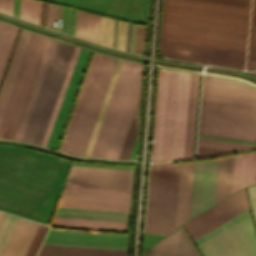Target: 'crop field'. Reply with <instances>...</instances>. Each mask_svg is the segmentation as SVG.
Listing matches in <instances>:
<instances>
[{
    "label": "crop field",
    "instance_id": "obj_41",
    "mask_svg": "<svg viewBox=\"0 0 256 256\" xmlns=\"http://www.w3.org/2000/svg\"><path fill=\"white\" fill-rule=\"evenodd\" d=\"M114 24H115L114 19H110V18L101 16L99 39H98L99 44H103V45L112 47Z\"/></svg>",
    "mask_w": 256,
    "mask_h": 256
},
{
    "label": "crop field",
    "instance_id": "obj_55",
    "mask_svg": "<svg viewBox=\"0 0 256 256\" xmlns=\"http://www.w3.org/2000/svg\"><path fill=\"white\" fill-rule=\"evenodd\" d=\"M251 73H254V74H256V71H252Z\"/></svg>",
    "mask_w": 256,
    "mask_h": 256
},
{
    "label": "crop field",
    "instance_id": "obj_35",
    "mask_svg": "<svg viewBox=\"0 0 256 256\" xmlns=\"http://www.w3.org/2000/svg\"><path fill=\"white\" fill-rule=\"evenodd\" d=\"M122 62H123L122 60H118V61H117L116 67H115V69H114V72H113L111 81H110V83H109V86H108L106 95H105V97H104V100H103L101 109H100V111H99V114H98L96 123H95V125H94L93 131H92V134H91V137H90V139H89V142H88V145H87V148H86V151H85L83 157H89V156H90L91 150H92V148H93V145H94V142H95V139H96L98 130H99V128H100V125H101V122H102V119H103L105 110H106V108H107V105H108V102H109V99H110L112 90H113V88H114V85H115V82H116V79H117L119 70H120V68H121Z\"/></svg>",
    "mask_w": 256,
    "mask_h": 256
},
{
    "label": "crop field",
    "instance_id": "obj_24",
    "mask_svg": "<svg viewBox=\"0 0 256 256\" xmlns=\"http://www.w3.org/2000/svg\"><path fill=\"white\" fill-rule=\"evenodd\" d=\"M255 182L256 152L234 156L230 195Z\"/></svg>",
    "mask_w": 256,
    "mask_h": 256
},
{
    "label": "crop field",
    "instance_id": "obj_11",
    "mask_svg": "<svg viewBox=\"0 0 256 256\" xmlns=\"http://www.w3.org/2000/svg\"><path fill=\"white\" fill-rule=\"evenodd\" d=\"M147 25L149 0H47Z\"/></svg>",
    "mask_w": 256,
    "mask_h": 256
},
{
    "label": "crop field",
    "instance_id": "obj_1",
    "mask_svg": "<svg viewBox=\"0 0 256 256\" xmlns=\"http://www.w3.org/2000/svg\"><path fill=\"white\" fill-rule=\"evenodd\" d=\"M69 162L0 146V210L49 223Z\"/></svg>",
    "mask_w": 256,
    "mask_h": 256
},
{
    "label": "crop field",
    "instance_id": "obj_44",
    "mask_svg": "<svg viewBox=\"0 0 256 256\" xmlns=\"http://www.w3.org/2000/svg\"><path fill=\"white\" fill-rule=\"evenodd\" d=\"M229 151H232V150H224V149H216V148L197 146L196 156L197 157L208 156V155H214V154H219V153H224V152H229Z\"/></svg>",
    "mask_w": 256,
    "mask_h": 256
},
{
    "label": "crop field",
    "instance_id": "obj_48",
    "mask_svg": "<svg viewBox=\"0 0 256 256\" xmlns=\"http://www.w3.org/2000/svg\"><path fill=\"white\" fill-rule=\"evenodd\" d=\"M248 193L250 198V203L253 211V215L256 221V184L248 186Z\"/></svg>",
    "mask_w": 256,
    "mask_h": 256
},
{
    "label": "crop field",
    "instance_id": "obj_36",
    "mask_svg": "<svg viewBox=\"0 0 256 256\" xmlns=\"http://www.w3.org/2000/svg\"><path fill=\"white\" fill-rule=\"evenodd\" d=\"M233 156L220 159L215 203L229 196Z\"/></svg>",
    "mask_w": 256,
    "mask_h": 256
},
{
    "label": "crop field",
    "instance_id": "obj_32",
    "mask_svg": "<svg viewBox=\"0 0 256 256\" xmlns=\"http://www.w3.org/2000/svg\"><path fill=\"white\" fill-rule=\"evenodd\" d=\"M100 16L78 11L75 36L97 43Z\"/></svg>",
    "mask_w": 256,
    "mask_h": 256
},
{
    "label": "crop field",
    "instance_id": "obj_8",
    "mask_svg": "<svg viewBox=\"0 0 256 256\" xmlns=\"http://www.w3.org/2000/svg\"><path fill=\"white\" fill-rule=\"evenodd\" d=\"M48 40V38L32 34L0 123L1 139H13Z\"/></svg>",
    "mask_w": 256,
    "mask_h": 256
},
{
    "label": "crop field",
    "instance_id": "obj_42",
    "mask_svg": "<svg viewBox=\"0 0 256 256\" xmlns=\"http://www.w3.org/2000/svg\"><path fill=\"white\" fill-rule=\"evenodd\" d=\"M47 226L39 224L24 256H33Z\"/></svg>",
    "mask_w": 256,
    "mask_h": 256
},
{
    "label": "crop field",
    "instance_id": "obj_12",
    "mask_svg": "<svg viewBox=\"0 0 256 256\" xmlns=\"http://www.w3.org/2000/svg\"><path fill=\"white\" fill-rule=\"evenodd\" d=\"M247 208L249 206L245 190L242 189L194 217L184 226L194 241Z\"/></svg>",
    "mask_w": 256,
    "mask_h": 256
},
{
    "label": "crop field",
    "instance_id": "obj_47",
    "mask_svg": "<svg viewBox=\"0 0 256 256\" xmlns=\"http://www.w3.org/2000/svg\"><path fill=\"white\" fill-rule=\"evenodd\" d=\"M139 31H140V26L136 25L135 46H134V53H136V54H137V50H138ZM144 35H145V27L142 26L139 53L144 48Z\"/></svg>",
    "mask_w": 256,
    "mask_h": 256
},
{
    "label": "crop field",
    "instance_id": "obj_23",
    "mask_svg": "<svg viewBox=\"0 0 256 256\" xmlns=\"http://www.w3.org/2000/svg\"><path fill=\"white\" fill-rule=\"evenodd\" d=\"M194 162L181 164L174 229L188 221Z\"/></svg>",
    "mask_w": 256,
    "mask_h": 256
},
{
    "label": "crop field",
    "instance_id": "obj_56",
    "mask_svg": "<svg viewBox=\"0 0 256 256\" xmlns=\"http://www.w3.org/2000/svg\"><path fill=\"white\" fill-rule=\"evenodd\" d=\"M2 214H3V213H2V212H0V218H1Z\"/></svg>",
    "mask_w": 256,
    "mask_h": 256
},
{
    "label": "crop field",
    "instance_id": "obj_29",
    "mask_svg": "<svg viewBox=\"0 0 256 256\" xmlns=\"http://www.w3.org/2000/svg\"><path fill=\"white\" fill-rule=\"evenodd\" d=\"M126 251L43 245L38 256H125Z\"/></svg>",
    "mask_w": 256,
    "mask_h": 256
},
{
    "label": "crop field",
    "instance_id": "obj_39",
    "mask_svg": "<svg viewBox=\"0 0 256 256\" xmlns=\"http://www.w3.org/2000/svg\"><path fill=\"white\" fill-rule=\"evenodd\" d=\"M139 102L118 159H128L139 129Z\"/></svg>",
    "mask_w": 256,
    "mask_h": 256
},
{
    "label": "crop field",
    "instance_id": "obj_2",
    "mask_svg": "<svg viewBox=\"0 0 256 256\" xmlns=\"http://www.w3.org/2000/svg\"><path fill=\"white\" fill-rule=\"evenodd\" d=\"M250 9L163 0L160 40L245 52Z\"/></svg>",
    "mask_w": 256,
    "mask_h": 256
},
{
    "label": "crop field",
    "instance_id": "obj_49",
    "mask_svg": "<svg viewBox=\"0 0 256 256\" xmlns=\"http://www.w3.org/2000/svg\"><path fill=\"white\" fill-rule=\"evenodd\" d=\"M198 141L216 143V144H224V145H231V146H238V147H246V148L255 147V145L239 144V143L224 142V141L209 140V139H201V138H198Z\"/></svg>",
    "mask_w": 256,
    "mask_h": 256
},
{
    "label": "crop field",
    "instance_id": "obj_17",
    "mask_svg": "<svg viewBox=\"0 0 256 256\" xmlns=\"http://www.w3.org/2000/svg\"><path fill=\"white\" fill-rule=\"evenodd\" d=\"M169 70L158 69L151 162L161 161Z\"/></svg>",
    "mask_w": 256,
    "mask_h": 256
},
{
    "label": "crop field",
    "instance_id": "obj_45",
    "mask_svg": "<svg viewBox=\"0 0 256 256\" xmlns=\"http://www.w3.org/2000/svg\"><path fill=\"white\" fill-rule=\"evenodd\" d=\"M200 1H207V2H214V3L250 8V0H200Z\"/></svg>",
    "mask_w": 256,
    "mask_h": 256
},
{
    "label": "crop field",
    "instance_id": "obj_30",
    "mask_svg": "<svg viewBox=\"0 0 256 256\" xmlns=\"http://www.w3.org/2000/svg\"><path fill=\"white\" fill-rule=\"evenodd\" d=\"M54 216L127 222L128 213L58 207Z\"/></svg>",
    "mask_w": 256,
    "mask_h": 256
},
{
    "label": "crop field",
    "instance_id": "obj_37",
    "mask_svg": "<svg viewBox=\"0 0 256 256\" xmlns=\"http://www.w3.org/2000/svg\"><path fill=\"white\" fill-rule=\"evenodd\" d=\"M58 206L111 210V211H129V204L123 203H109V202H95V201H81V200H67L61 199Z\"/></svg>",
    "mask_w": 256,
    "mask_h": 256
},
{
    "label": "crop field",
    "instance_id": "obj_50",
    "mask_svg": "<svg viewBox=\"0 0 256 256\" xmlns=\"http://www.w3.org/2000/svg\"><path fill=\"white\" fill-rule=\"evenodd\" d=\"M13 10V0H0V11L11 14Z\"/></svg>",
    "mask_w": 256,
    "mask_h": 256
},
{
    "label": "crop field",
    "instance_id": "obj_34",
    "mask_svg": "<svg viewBox=\"0 0 256 256\" xmlns=\"http://www.w3.org/2000/svg\"><path fill=\"white\" fill-rule=\"evenodd\" d=\"M18 30V28L0 21V82Z\"/></svg>",
    "mask_w": 256,
    "mask_h": 256
},
{
    "label": "crop field",
    "instance_id": "obj_14",
    "mask_svg": "<svg viewBox=\"0 0 256 256\" xmlns=\"http://www.w3.org/2000/svg\"><path fill=\"white\" fill-rule=\"evenodd\" d=\"M219 159L195 162L190 216L214 205Z\"/></svg>",
    "mask_w": 256,
    "mask_h": 256
},
{
    "label": "crop field",
    "instance_id": "obj_15",
    "mask_svg": "<svg viewBox=\"0 0 256 256\" xmlns=\"http://www.w3.org/2000/svg\"><path fill=\"white\" fill-rule=\"evenodd\" d=\"M43 244L126 250L127 237L49 231Z\"/></svg>",
    "mask_w": 256,
    "mask_h": 256
},
{
    "label": "crop field",
    "instance_id": "obj_7",
    "mask_svg": "<svg viewBox=\"0 0 256 256\" xmlns=\"http://www.w3.org/2000/svg\"><path fill=\"white\" fill-rule=\"evenodd\" d=\"M194 242L203 256H256V236L248 210Z\"/></svg>",
    "mask_w": 256,
    "mask_h": 256
},
{
    "label": "crop field",
    "instance_id": "obj_20",
    "mask_svg": "<svg viewBox=\"0 0 256 256\" xmlns=\"http://www.w3.org/2000/svg\"><path fill=\"white\" fill-rule=\"evenodd\" d=\"M131 191L65 186L61 198L129 203Z\"/></svg>",
    "mask_w": 256,
    "mask_h": 256
},
{
    "label": "crop field",
    "instance_id": "obj_43",
    "mask_svg": "<svg viewBox=\"0 0 256 256\" xmlns=\"http://www.w3.org/2000/svg\"><path fill=\"white\" fill-rule=\"evenodd\" d=\"M127 23L118 20L115 48L125 51Z\"/></svg>",
    "mask_w": 256,
    "mask_h": 256
},
{
    "label": "crop field",
    "instance_id": "obj_31",
    "mask_svg": "<svg viewBox=\"0 0 256 256\" xmlns=\"http://www.w3.org/2000/svg\"><path fill=\"white\" fill-rule=\"evenodd\" d=\"M198 83L199 74L192 73L184 159L192 158L193 153Z\"/></svg>",
    "mask_w": 256,
    "mask_h": 256
},
{
    "label": "crop field",
    "instance_id": "obj_13",
    "mask_svg": "<svg viewBox=\"0 0 256 256\" xmlns=\"http://www.w3.org/2000/svg\"><path fill=\"white\" fill-rule=\"evenodd\" d=\"M133 171L72 166L65 185L131 190Z\"/></svg>",
    "mask_w": 256,
    "mask_h": 256
},
{
    "label": "crop field",
    "instance_id": "obj_38",
    "mask_svg": "<svg viewBox=\"0 0 256 256\" xmlns=\"http://www.w3.org/2000/svg\"><path fill=\"white\" fill-rule=\"evenodd\" d=\"M79 50H80V47H77V46H76L75 51H74L73 56H72V59H71V62H70V64H69L67 73H66V75H65L63 84H62V86H61L59 95H58V97H57L55 106H54V108H53L51 117H50V119H49L47 128H46V130H45L43 139H42V141H41V144H40V145H42V146H46L47 140H48V138H49V135H50V132H51L53 123H54V121H55V118H56V115H57V112H58V109H59V106H60V104H61V101H62L64 92H65V90H66V87H67V84H68L70 75H71V73H72V70H73V67H74L76 58H77V56H78Z\"/></svg>",
    "mask_w": 256,
    "mask_h": 256
},
{
    "label": "crop field",
    "instance_id": "obj_46",
    "mask_svg": "<svg viewBox=\"0 0 256 256\" xmlns=\"http://www.w3.org/2000/svg\"><path fill=\"white\" fill-rule=\"evenodd\" d=\"M256 54V26L250 27L249 47L247 55Z\"/></svg>",
    "mask_w": 256,
    "mask_h": 256
},
{
    "label": "crop field",
    "instance_id": "obj_3",
    "mask_svg": "<svg viewBox=\"0 0 256 256\" xmlns=\"http://www.w3.org/2000/svg\"><path fill=\"white\" fill-rule=\"evenodd\" d=\"M198 134L256 142V88L203 77Z\"/></svg>",
    "mask_w": 256,
    "mask_h": 256
},
{
    "label": "crop field",
    "instance_id": "obj_25",
    "mask_svg": "<svg viewBox=\"0 0 256 256\" xmlns=\"http://www.w3.org/2000/svg\"><path fill=\"white\" fill-rule=\"evenodd\" d=\"M37 225L20 218L2 256H23Z\"/></svg>",
    "mask_w": 256,
    "mask_h": 256
},
{
    "label": "crop field",
    "instance_id": "obj_18",
    "mask_svg": "<svg viewBox=\"0 0 256 256\" xmlns=\"http://www.w3.org/2000/svg\"><path fill=\"white\" fill-rule=\"evenodd\" d=\"M89 51L80 50L79 56L77 58L72 76L70 78L65 96L63 98L58 116L56 118L51 136L49 138L47 147L56 149L58 140L60 138L67 114L69 112L75 91L77 89L84 65L86 63L87 57H88Z\"/></svg>",
    "mask_w": 256,
    "mask_h": 256
},
{
    "label": "crop field",
    "instance_id": "obj_16",
    "mask_svg": "<svg viewBox=\"0 0 256 256\" xmlns=\"http://www.w3.org/2000/svg\"><path fill=\"white\" fill-rule=\"evenodd\" d=\"M191 73L179 72L171 160L183 159Z\"/></svg>",
    "mask_w": 256,
    "mask_h": 256
},
{
    "label": "crop field",
    "instance_id": "obj_19",
    "mask_svg": "<svg viewBox=\"0 0 256 256\" xmlns=\"http://www.w3.org/2000/svg\"><path fill=\"white\" fill-rule=\"evenodd\" d=\"M144 256H199L183 226L160 240Z\"/></svg>",
    "mask_w": 256,
    "mask_h": 256
},
{
    "label": "crop field",
    "instance_id": "obj_27",
    "mask_svg": "<svg viewBox=\"0 0 256 256\" xmlns=\"http://www.w3.org/2000/svg\"><path fill=\"white\" fill-rule=\"evenodd\" d=\"M40 5H41V2H39V1L21 0L20 1L19 18L38 24ZM41 7H42V5H41ZM46 9H47V3L43 2L42 20H41V25H43V26H45V21H46ZM49 9H50V4L48 3L46 27H48ZM55 9H56V5L51 4L50 22H49L50 28H53L52 21H54ZM56 11H57V9H56ZM60 12H61V7L58 6L56 27H57V23H58V18H60ZM40 19H41V13H40ZM55 21H56V17H55ZM39 24H40V21H39Z\"/></svg>",
    "mask_w": 256,
    "mask_h": 256
},
{
    "label": "crop field",
    "instance_id": "obj_53",
    "mask_svg": "<svg viewBox=\"0 0 256 256\" xmlns=\"http://www.w3.org/2000/svg\"><path fill=\"white\" fill-rule=\"evenodd\" d=\"M256 68V60L247 61L246 69Z\"/></svg>",
    "mask_w": 256,
    "mask_h": 256
},
{
    "label": "crop field",
    "instance_id": "obj_40",
    "mask_svg": "<svg viewBox=\"0 0 256 256\" xmlns=\"http://www.w3.org/2000/svg\"><path fill=\"white\" fill-rule=\"evenodd\" d=\"M18 219V217L4 213L0 220V256L4 251Z\"/></svg>",
    "mask_w": 256,
    "mask_h": 256
},
{
    "label": "crop field",
    "instance_id": "obj_51",
    "mask_svg": "<svg viewBox=\"0 0 256 256\" xmlns=\"http://www.w3.org/2000/svg\"><path fill=\"white\" fill-rule=\"evenodd\" d=\"M197 145L209 146V147H217V148H225V149H233V150L246 149V148H238V147H231V146H223V145H216V144H209V143H201V142H198Z\"/></svg>",
    "mask_w": 256,
    "mask_h": 256
},
{
    "label": "crop field",
    "instance_id": "obj_21",
    "mask_svg": "<svg viewBox=\"0 0 256 256\" xmlns=\"http://www.w3.org/2000/svg\"><path fill=\"white\" fill-rule=\"evenodd\" d=\"M31 32L21 31L10 65L8 67L4 82L0 90V120L8 101L12 86L19 70L26 47L31 37Z\"/></svg>",
    "mask_w": 256,
    "mask_h": 256
},
{
    "label": "crop field",
    "instance_id": "obj_26",
    "mask_svg": "<svg viewBox=\"0 0 256 256\" xmlns=\"http://www.w3.org/2000/svg\"><path fill=\"white\" fill-rule=\"evenodd\" d=\"M178 72L170 70L162 161L170 160Z\"/></svg>",
    "mask_w": 256,
    "mask_h": 256
},
{
    "label": "crop field",
    "instance_id": "obj_22",
    "mask_svg": "<svg viewBox=\"0 0 256 256\" xmlns=\"http://www.w3.org/2000/svg\"><path fill=\"white\" fill-rule=\"evenodd\" d=\"M101 56L102 55H100V54H96V53L93 54L92 60L90 62L86 77L84 79V82H83V85H82V88H81V91H80V94L78 96L75 108L73 110L69 125L67 127L63 142H62L60 150H59L61 152H65V153L67 152V149L69 147L71 138L73 136L75 127L77 125L79 116L81 114L83 105L85 103L87 94L89 92L91 83L93 81L95 72L97 70L99 61L101 59Z\"/></svg>",
    "mask_w": 256,
    "mask_h": 256
},
{
    "label": "crop field",
    "instance_id": "obj_33",
    "mask_svg": "<svg viewBox=\"0 0 256 256\" xmlns=\"http://www.w3.org/2000/svg\"><path fill=\"white\" fill-rule=\"evenodd\" d=\"M126 224L121 222L54 217L51 225L126 231Z\"/></svg>",
    "mask_w": 256,
    "mask_h": 256
},
{
    "label": "crop field",
    "instance_id": "obj_54",
    "mask_svg": "<svg viewBox=\"0 0 256 256\" xmlns=\"http://www.w3.org/2000/svg\"><path fill=\"white\" fill-rule=\"evenodd\" d=\"M252 59H256V55L247 56V60H252Z\"/></svg>",
    "mask_w": 256,
    "mask_h": 256
},
{
    "label": "crop field",
    "instance_id": "obj_5",
    "mask_svg": "<svg viewBox=\"0 0 256 256\" xmlns=\"http://www.w3.org/2000/svg\"><path fill=\"white\" fill-rule=\"evenodd\" d=\"M180 164H150L145 232L173 231Z\"/></svg>",
    "mask_w": 256,
    "mask_h": 256
},
{
    "label": "crop field",
    "instance_id": "obj_10",
    "mask_svg": "<svg viewBox=\"0 0 256 256\" xmlns=\"http://www.w3.org/2000/svg\"><path fill=\"white\" fill-rule=\"evenodd\" d=\"M159 50L174 59L244 69L245 53L170 42H159Z\"/></svg>",
    "mask_w": 256,
    "mask_h": 256
},
{
    "label": "crop field",
    "instance_id": "obj_6",
    "mask_svg": "<svg viewBox=\"0 0 256 256\" xmlns=\"http://www.w3.org/2000/svg\"><path fill=\"white\" fill-rule=\"evenodd\" d=\"M74 48L56 42L21 141L40 144Z\"/></svg>",
    "mask_w": 256,
    "mask_h": 256
},
{
    "label": "crop field",
    "instance_id": "obj_28",
    "mask_svg": "<svg viewBox=\"0 0 256 256\" xmlns=\"http://www.w3.org/2000/svg\"><path fill=\"white\" fill-rule=\"evenodd\" d=\"M55 42H56L55 40H51V39L49 40V43H48V45H47L45 54H44V56H43L41 65H40V67H39L37 76H36V78H35V81H34L32 90H31V92H30L28 101H27V103H26L24 112H23V114H22L20 123H19V125H18L16 134H15L13 140H18V141L21 140L22 134H23V132H24V129H25L27 120H28V118H29V115H30L32 106H33V104H34V101H35L37 92H38V90H39V87H40L42 78H43V76H44V73H45L47 64H48V62H49V59H50L52 50H53V48H54Z\"/></svg>",
    "mask_w": 256,
    "mask_h": 256
},
{
    "label": "crop field",
    "instance_id": "obj_4",
    "mask_svg": "<svg viewBox=\"0 0 256 256\" xmlns=\"http://www.w3.org/2000/svg\"><path fill=\"white\" fill-rule=\"evenodd\" d=\"M143 64L124 61L90 157L117 159L140 97Z\"/></svg>",
    "mask_w": 256,
    "mask_h": 256
},
{
    "label": "crop field",
    "instance_id": "obj_52",
    "mask_svg": "<svg viewBox=\"0 0 256 256\" xmlns=\"http://www.w3.org/2000/svg\"><path fill=\"white\" fill-rule=\"evenodd\" d=\"M252 6H256V0H253ZM256 23V7H252L250 24Z\"/></svg>",
    "mask_w": 256,
    "mask_h": 256
},
{
    "label": "crop field",
    "instance_id": "obj_9",
    "mask_svg": "<svg viewBox=\"0 0 256 256\" xmlns=\"http://www.w3.org/2000/svg\"><path fill=\"white\" fill-rule=\"evenodd\" d=\"M116 61L102 56L67 153L83 156Z\"/></svg>",
    "mask_w": 256,
    "mask_h": 256
}]
</instances>
